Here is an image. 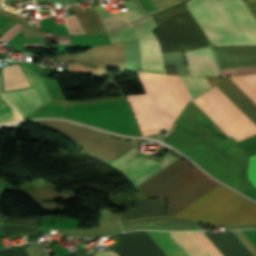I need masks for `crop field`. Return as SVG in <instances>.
Returning <instances> with one entry per match:
<instances>
[{
  "instance_id": "1",
  "label": "crop field",
  "mask_w": 256,
  "mask_h": 256,
  "mask_svg": "<svg viewBox=\"0 0 256 256\" xmlns=\"http://www.w3.org/2000/svg\"><path fill=\"white\" fill-rule=\"evenodd\" d=\"M180 156L172 150L159 162L136 153L135 146L109 164L135 187ZM135 188L145 197L169 198L170 217L214 224L256 221L254 201L211 179L183 156Z\"/></svg>"
},
{
  "instance_id": "35",
  "label": "crop field",
  "mask_w": 256,
  "mask_h": 256,
  "mask_svg": "<svg viewBox=\"0 0 256 256\" xmlns=\"http://www.w3.org/2000/svg\"><path fill=\"white\" fill-rule=\"evenodd\" d=\"M167 74L178 75L174 65H165Z\"/></svg>"
},
{
  "instance_id": "39",
  "label": "crop field",
  "mask_w": 256,
  "mask_h": 256,
  "mask_svg": "<svg viewBox=\"0 0 256 256\" xmlns=\"http://www.w3.org/2000/svg\"><path fill=\"white\" fill-rule=\"evenodd\" d=\"M5 216H3L1 213H0V222H2V220L4 219Z\"/></svg>"
},
{
  "instance_id": "31",
  "label": "crop field",
  "mask_w": 256,
  "mask_h": 256,
  "mask_svg": "<svg viewBox=\"0 0 256 256\" xmlns=\"http://www.w3.org/2000/svg\"><path fill=\"white\" fill-rule=\"evenodd\" d=\"M153 1L159 6L161 10L180 2V0H153Z\"/></svg>"
},
{
  "instance_id": "3",
  "label": "crop field",
  "mask_w": 256,
  "mask_h": 256,
  "mask_svg": "<svg viewBox=\"0 0 256 256\" xmlns=\"http://www.w3.org/2000/svg\"><path fill=\"white\" fill-rule=\"evenodd\" d=\"M137 73L145 90L147 87L155 99L166 130H170L174 120L193 98L189 96L179 76L141 72L145 87L140 72ZM147 94L125 96L133 109L142 137L165 130L156 103L148 94L154 101L163 129L153 101Z\"/></svg>"
},
{
  "instance_id": "27",
  "label": "crop field",
  "mask_w": 256,
  "mask_h": 256,
  "mask_svg": "<svg viewBox=\"0 0 256 256\" xmlns=\"http://www.w3.org/2000/svg\"><path fill=\"white\" fill-rule=\"evenodd\" d=\"M42 35H43V39L48 42L63 43V44H67L71 42L69 36H57V35L48 34L44 32H42Z\"/></svg>"
},
{
  "instance_id": "18",
  "label": "crop field",
  "mask_w": 256,
  "mask_h": 256,
  "mask_svg": "<svg viewBox=\"0 0 256 256\" xmlns=\"http://www.w3.org/2000/svg\"><path fill=\"white\" fill-rule=\"evenodd\" d=\"M154 22L149 16L133 24L112 31L108 33V35L112 43L136 39L150 31L153 27H155L157 24H155Z\"/></svg>"
},
{
  "instance_id": "37",
  "label": "crop field",
  "mask_w": 256,
  "mask_h": 256,
  "mask_svg": "<svg viewBox=\"0 0 256 256\" xmlns=\"http://www.w3.org/2000/svg\"><path fill=\"white\" fill-rule=\"evenodd\" d=\"M94 256H117V255L111 251H103V252H97Z\"/></svg>"
},
{
  "instance_id": "8",
  "label": "crop field",
  "mask_w": 256,
  "mask_h": 256,
  "mask_svg": "<svg viewBox=\"0 0 256 256\" xmlns=\"http://www.w3.org/2000/svg\"><path fill=\"white\" fill-rule=\"evenodd\" d=\"M193 101L228 137L239 141L256 134V125L216 86Z\"/></svg>"
},
{
  "instance_id": "38",
  "label": "crop field",
  "mask_w": 256,
  "mask_h": 256,
  "mask_svg": "<svg viewBox=\"0 0 256 256\" xmlns=\"http://www.w3.org/2000/svg\"><path fill=\"white\" fill-rule=\"evenodd\" d=\"M256 84V75L248 76Z\"/></svg>"
},
{
  "instance_id": "16",
  "label": "crop field",
  "mask_w": 256,
  "mask_h": 256,
  "mask_svg": "<svg viewBox=\"0 0 256 256\" xmlns=\"http://www.w3.org/2000/svg\"><path fill=\"white\" fill-rule=\"evenodd\" d=\"M2 95L22 117L41 106L33 88L5 92Z\"/></svg>"
},
{
  "instance_id": "34",
  "label": "crop field",
  "mask_w": 256,
  "mask_h": 256,
  "mask_svg": "<svg viewBox=\"0 0 256 256\" xmlns=\"http://www.w3.org/2000/svg\"><path fill=\"white\" fill-rule=\"evenodd\" d=\"M245 3L256 1V0H244ZM248 6L253 13V15L256 17V2L248 3Z\"/></svg>"
},
{
  "instance_id": "7",
  "label": "crop field",
  "mask_w": 256,
  "mask_h": 256,
  "mask_svg": "<svg viewBox=\"0 0 256 256\" xmlns=\"http://www.w3.org/2000/svg\"><path fill=\"white\" fill-rule=\"evenodd\" d=\"M32 121L55 129L60 134L76 142L82 149L103 159L105 162H109L117 158L126 139L125 137L111 135L60 120L41 119ZM140 141L142 140L127 138L119 156L138 144Z\"/></svg>"
},
{
  "instance_id": "40",
  "label": "crop field",
  "mask_w": 256,
  "mask_h": 256,
  "mask_svg": "<svg viewBox=\"0 0 256 256\" xmlns=\"http://www.w3.org/2000/svg\"><path fill=\"white\" fill-rule=\"evenodd\" d=\"M3 0H0V2H2Z\"/></svg>"
},
{
  "instance_id": "26",
  "label": "crop field",
  "mask_w": 256,
  "mask_h": 256,
  "mask_svg": "<svg viewBox=\"0 0 256 256\" xmlns=\"http://www.w3.org/2000/svg\"><path fill=\"white\" fill-rule=\"evenodd\" d=\"M223 76H239L256 73V66L221 70Z\"/></svg>"
},
{
  "instance_id": "4",
  "label": "crop field",
  "mask_w": 256,
  "mask_h": 256,
  "mask_svg": "<svg viewBox=\"0 0 256 256\" xmlns=\"http://www.w3.org/2000/svg\"><path fill=\"white\" fill-rule=\"evenodd\" d=\"M188 5L214 44L256 45V20L242 0H190Z\"/></svg>"
},
{
  "instance_id": "11",
  "label": "crop field",
  "mask_w": 256,
  "mask_h": 256,
  "mask_svg": "<svg viewBox=\"0 0 256 256\" xmlns=\"http://www.w3.org/2000/svg\"><path fill=\"white\" fill-rule=\"evenodd\" d=\"M190 75L221 76L211 47L185 53Z\"/></svg>"
},
{
  "instance_id": "6",
  "label": "crop field",
  "mask_w": 256,
  "mask_h": 256,
  "mask_svg": "<svg viewBox=\"0 0 256 256\" xmlns=\"http://www.w3.org/2000/svg\"><path fill=\"white\" fill-rule=\"evenodd\" d=\"M166 256H223L203 232L146 231ZM145 231L114 236L110 244L123 256H165Z\"/></svg>"
},
{
  "instance_id": "33",
  "label": "crop field",
  "mask_w": 256,
  "mask_h": 256,
  "mask_svg": "<svg viewBox=\"0 0 256 256\" xmlns=\"http://www.w3.org/2000/svg\"><path fill=\"white\" fill-rule=\"evenodd\" d=\"M0 14H2V15H4V16H7V17H9V18H11V19H14V20H16V21H19V22H21V23H23V22L25 21V19H22V18H20V17H17V16H15V15H13V14H11V13H9V12L3 10V9H0Z\"/></svg>"
},
{
  "instance_id": "5",
  "label": "crop field",
  "mask_w": 256,
  "mask_h": 256,
  "mask_svg": "<svg viewBox=\"0 0 256 256\" xmlns=\"http://www.w3.org/2000/svg\"><path fill=\"white\" fill-rule=\"evenodd\" d=\"M36 114L57 115L118 134L140 137L133 114L123 96L83 101H50L32 115ZM51 115H37L29 118H60Z\"/></svg>"
},
{
  "instance_id": "17",
  "label": "crop field",
  "mask_w": 256,
  "mask_h": 256,
  "mask_svg": "<svg viewBox=\"0 0 256 256\" xmlns=\"http://www.w3.org/2000/svg\"><path fill=\"white\" fill-rule=\"evenodd\" d=\"M217 86L256 123V105L229 78H223Z\"/></svg>"
},
{
  "instance_id": "20",
  "label": "crop field",
  "mask_w": 256,
  "mask_h": 256,
  "mask_svg": "<svg viewBox=\"0 0 256 256\" xmlns=\"http://www.w3.org/2000/svg\"><path fill=\"white\" fill-rule=\"evenodd\" d=\"M72 9L76 14L86 34L106 32L96 11L79 14L76 6H72Z\"/></svg>"
},
{
  "instance_id": "14",
  "label": "crop field",
  "mask_w": 256,
  "mask_h": 256,
  "mask_svg": "<svg viewBox=\"0 0 256 256\" xmlns=\"http://www.w3.org/2000/svg\"><path fill=\"white\" fill-rule=\"evenodd\" d=\"M123 4L127 11L118 13H107L104 6H96V10L106 31L127 24L143 16L132 1Z\"/></svg>"
},
{
  "instance_id": "32",
  "label": "crop field",
  "mask_w": 256,
  "mask_h": 256,
  "mask_svg": "<svg viewBox=\"0 0 256 256\" xmlns=\"http://www.w3.org/2000/svg\"><path fill=\"white\" fill-rule=\"evenodd\" d=\"M248 174L256 172V156L249 159ZM250 177L256 182V173L250 174Z\"/></svg>"
},
{
  "instance_id": "29",
  "label": "crop field",
  "mask_w": 256,
  "mask_h": 256,
  "mask_svg": "<svg viewBox=\"0 0 256 256\" xmlns=\"http://www.w3.org/2000/svg\"><path fill=\"white\" fill-rule=\"evenodd\" d=\"M21 25L17 23L15 26H13L8 32H6L1 38L0 41L7 42L10 40L13 36H15L19 31H21Z\"/></svg>"
},
{
  "instance_id": "2",
  "label": "crop field",
  "mask_w": 256,
  "mask_h": 256,
  "mask_svg": "<svg viewBox=\"0 0 256 256\" xmlns=\"http://www.w3.org/2000/svg\"><path fill=\"white\" fill-rule=\"evenodd\" d=\"M175 124L247 168L248 156L245 149L233 138H228L193 101L187 105ZM175 124L171 135L163 142L175 147L210 175L235 189L243 192L252 186L245 175L247 169Z\"/></svg>"
},
{
  "instance_id": "25",
  "label": "crop field",
  "mask_w": 256,
  "mask_h": 256,
  "mask_svg": "<svg viewBox=\"0 0 256 256\" xmlns=\"http://www.w3.org/2000/svg\"><path fill=\"white\" fill-rule=\"evenodd\" d=\"M2 232L5 236H16V235H37L38 229L16 227V226H2Z\"/></svg>"
},
{
  "instance_id": "22",
  "label": "crop field",
  "mask_w": 256,
  "mask_h": 256,
  "mask_svg": "<svg viewBox=\"0 0 256 256\" xmlns=\"http://www.w3.org/2000/svg\"><path fill=\"white\" fill-rule=\"evenodd\" d=\"M191 97H196L206 91L209 87L205 77L181 76Z\"/></svg>"
},
{
  "instance_id": "23",
  "label": "crop field",
  "mask_w": 256,
  "mask_h": 256,
  "mask_svg": "<svg viewBox=\"0 0 256 256\" xmlns=\"http://www.w3.org/2000/svg\"><path fill=\"white\" fill-rule=\"evenodd\" d=\"M19 120H20V117L1 98L0 99V127L15 123Z\"/></svg>"
},
{
  "instance_id": "24",
  "label": "crop field",
  "mask_w": 256,
  "mask_h": 256,
  "mask_svg": "<svg viewBox=\"0 0 256 256\" xmlns=\"http://www.w3.org/2000/svg\"><path fill=\"white\" fill-rule=\"evenodd\" d=\"M186 9H187V4H186V1H185V2L180 3V4H178L174 7L169 8V9L163 11V12H160V13H157V14H154V15H151V16L153 17V19L158 24V23L168 19L172 15H174L176 13H179V12H182Z\"/></svg>"
},
{
  "instance_id": "10",
  "label": "crop field",
  "mask_w": 256,
  "mask_h": 256,
  "mask_svg": "<svg viewBox=\"0 0 256 256\" xmlns=\"http://www.w3.org/2000/svg\"><path fill=\"white\" fill-rule=\"evenodd\" d=\"M213 49L221 69L256 65V46Z\"/></svg>"
},
{
  "instance_id": "12",
  "label": "crop field",
  "mask_w": 256,
  "mask_h": 256,
  "mask_svg": "<svg viewBox=\"0 0 256 256\" xmlns=\"http://www.w3.org/2000/svg\"><path fill=\"white\" fill-rule=\"evenodd\" d=\"M143 71L163 73L164 65L159 43L152 32L139 39Z\"/></svg>"
},
{
  "instance_id": "19",
  "label": "crop field",
  "mask_w": 256,
  "mask_h": 256,
  "mask_svg": "<svg viewBox=\"0 0 256 256\" xmlns=\"http://www.w3.org/2000/svg\"><path fill=\"white\" fill-rule=\"evenodd\" d=\"M3 77L4 91L10 89H21L30 86L19 64L4 66Z\"/></svg>"
},
{
  "instance_id": "9",
  "label": "crop field",
  "mask_w": 256,
  "mask_h": 256,
  "mask_svg": "<svg viewBox=\"0 0 256 256\" xmlns=\"http://www.w3.org/2000/svg\"><path fill=\"white\" fill-rule=\"evenodd\" d=\"M156 35L162 52H186L208 46V41L189 10L158 25Z\"/></svg>"
},
{
  "instance_id": "36",
  "label": "crop field",
  "mask_w": 256,
  "mask_h": 256,
  "mask_svg": "<svg viewBox=\"0 0 256 256\" xmlns=\"http://www.w3.org/2000/svg\"><path fill=\"white\" fill-rule=\"evenodd\" d=\"M210 87L214 86L217 84L221 79L220 78H212V77H206Z\"/></svg>"
},
{
  "instance_id": "30",
  "label": "crop field",
  "mask_w": 256,
  "mask_h": 256,
  "mask_svg": "<svg viewBox=\"0 0 256 256\" xmlns=\"http://www.w3.org/2000/svg\"><path fill=\"white\" fill-rule=\"evenodd\" d=\"M0 256H29L26 249L20 251V252H13L9 249L0 250Z\"/></svg>"
},
{
  "instance_id": "13",
  "label": "crop field",
  "mask_w": 256,
  "mask_h": 256,
  "mask_svg": "<svg viewBox=\"0 0 256 256\" xmlns=\"http://www.w3.org/2000/svg\"><path fill=\"white\" fill-rule=\"evenodd\" d=\"M124 232L141 229L158 230H199L200 224L190 221H181L175 219H153L141 222L122 224Z\"/></svg>"
},
{
  "instance_id": "15",
  "label": "crop field",
  "mask_w": 256,
  "mask_h": 256,
  "mask_svg": "<svg viewBox=\"0 0 256 256\" xmlns=\"http://www.w3.org/2000/svg\"><path fill=\"white\" fill-rule=\"evenodd\" d=\"M165 200H137L126 213L118 215L121 222L164 216Z\"/></svg>"
},
{
  "instance_id": "28",
  "label": "crop field",
  "mask_w": 256,
  "mask_h": 256,
  "mask_svg": "<svg viewBox=\"0 0 256 256\" xmlns=\"http://www.w3.org/2000/svg\"><path fill=\"white\" fill-rule=\"evenodd\" d=\"M40 217L34 218H22V219H7L5 223H13V224H25V225H35L38 226Z\"/></svg>"
},
{
  "instance_id": "21",
  "label": "crop field",
  "mask_w": 256,
  "mask_h": 256,
  "mask_svg": "<svg viewBox=\"0 0 256 256\" xmlns=\"http://www.w3.org/2000/svg\"><path fill=\"white\" fill-rule=\"evenodd\" d=\"M21 67L28 76L38 98L41 101V104L43 105L52 100L38 73L23 64H21Z\"/></svg>"
}]
</instances>
